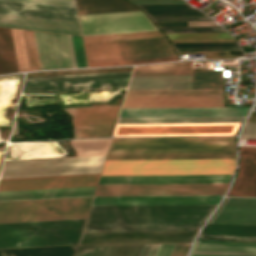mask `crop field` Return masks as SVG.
Segmentation results:
<instances>
[{
  "label": "crop field",
  "instance_id": "10",
  "mask_svg": "<svg viewBox=\"0 0 256 256\" xmlns=\"http://www.w3.org/2000/svg\"><path fill=\"white\" fill-rule=\"evenodd\" d=\"M239 123L117 125L113 136L235 135Z\"/></svg>",
  "mask_w": 256,
  "mask_h": 256
},
{
  "label": "crop field",
  "instance_id": "47",
  "mask_svg": "<svg viewBox=\"0 0 256 256\" xmlns=\"http://www.w3.org/2000/svg\"><path fill=\"white\" fill-rule=\"evenodd\" d=\"M171 43L236 42L235 39L170 40Z\"/></svg>",
  "mask_w": 256,
  "mask_h": 256
},
{
  "label": "crop field",
  "instance_id": "42",
  "mask_svg": "<svg viewBox=\"0 0 256 256\" xmlns=\"http://www.w3.org/2000/svg\"><path fill=\"white\" fill-rule=\"evenodd\" d=\"M221 27H184V28H160L164 33H189V32H221L214 31Z\"/></svg>",
  "mask_w": 256,
  "mask_h": 256
},
{
  "label": "crop field",
  "instance_id": "45",
  "mask_svg": "<svg viewBox=\"0 0 256 256\" xmlns=\"http://www.w3.org/2000/svg\"><path fill=\"white\" fill-rule=\"evenodd\" d=\"M240 139L256 140V123H246Z\"/></svg>",
  "mask_w": 256,
  "mask_h": 256
},
{
  "label": "crop field",
  "instance_id": "36",
  "mask_svg": "<svg viewBox=\"0 0 256 256\" xmlns=\"http://www.w3.org/2000/svg\"><path fill=\"white\" fill-rule=\"evenodd\" d=\"M222 88L221 72H192L191 89Z\"/></svg>",
  "mask_w": 256,
  "mask_h": 256
},
{
  "label": "crop field",
  "instance_id": "40",
  "mask_svg": "<svg viewBox=\"0 0 256 256\" xmlns=\"http://www.w3.org/2000/svg\"><path fill=\"white\" fill-rule=\"evenodd\" d=\"M7 1H16V2H25V3H34V4L75 8L74 0H7Z\"/></svg>",
  "mask_w": 256,
  "mask_h": 256
},
{
  "label": "crop field",
  "instance_id": "52",
  "mask_svg": "<svg viewBox=\"0 0 256 256\" xmlns=\"http://www.w3.org/2000/svg\"><path fill=\"white\" fill-rule=\"evenodd\" d=\"M176 51L240 50V48L175 49Z\"/></svg>",
  "mask_w": 256,
  "mask_h": 256
},
{
  "label": "crop field",
  "instance_id": "33",
  "mask_svg": "<svg viewBox=\"0 0 256 256\" xmlns=\"http://www.w3.org/2000/svg\"><path fill=\"white\" fill-rule=\"evenodd\" d=\"M148 16L204 15L188 5H138Z\"/></svg>",
  "mask_w": 256,
  "mask_h": 256
},
{
  "label": "crop field",
  "instance_id": "21",
  "mask_svg": "<svg viewBox=\"0 0 256 256\" xmlns=\"http://www.w3.org/2000/svg\"><path fill=\"white\" fill-rule=\"evenodd\" d=\"M240 168L229 196L256 197V148L239 147Z\"/></svg>",
  "mask_w": 256,
  "mask_h": 256
},
{
  "label": "crop field",
  "instance_id": "4",
  "mask_svg": "<svg viewBox=\"0 0 256 256\" xmlns=\"http://www.w3.org/2000/svg\"><path fill=\"white\" fill-rule=\"evenodd\" d=\"M235 159L106 161L101 175L233 174Z\"/></svg>",
  "mask_w": 256,
  "mask_h": 256
},
{
  "label": "crop field",
  "instance_id": "27",
  "mask_svg": "<svg viewBox=\"0 0 256 256\" xmlns=\"http://www.w3.org/2000/svg\"><path fill=\"white\" fill-rule=\"evenodd\" d=\"M76 3L79 15L138 10L124 0H76Z\"/></svg>",
  "mask_w": 256,
  "mask_h": 256
},
{
  "label": "crop field",
  "instance_id": "39",
  "mask_svg": "<svg viewBox=\"0 0 256 256\" xmlns=\"http://www.w3.org/2000/svg\"><path fill=\"white\" fill-rule=\"evenodd\" d=\"M172 60H177V58L176 57H169V58H157V59H144V60H132V61L94 63V64H88V67L115 66V65H127V64H135V63L160 62V61H172Z\"/></svg>",
  "mask_w": 256,
  "mask_h": 256
},
{
  "label": "crop field",
  "instance_id": "35",
  "mask_svg": "<svg viewBox=\"0 0 256 256\" xmlns=\"http://www.w3.org/2000/svg\"><path fill=\"white\" fill-rule=\"evenodd\" d=\"M165 37L159 31L83 37L84 43Z\"/></svg>",
  "mask_w": 256,
  "mask_h": 256
},
{
  "label": "crop field",
  "instance_id": "28",
  "mask_svg": "<svg viewBox=\"0 0 256 256\" xmlns=\"http://www.w3.org/2000/svg\"><path fill=\"white\" fill-rule=\"evenodd\" d=\"M244 117L119 118L117 124L241 122Z\"/></svg>",
  "mask_w": 256,
  "mask_h": 256
},
{
  "label": "crop field",
  "instance_id": "15",
  "mask_svg": "<svg viewBox=\"0 0 256 256\" xmlns=\"http://www.w3.org/2000/svg\"><path fill=\"white\" fill-rule=\"evenodd\" d=\"M222 195L94 197L91 206L218 204Z\"/></svg>",
  "mask_w": 256,
  "mask_h": 256
},
{
  "label": "crop field",
  "instance_id": "23",
  "mask_svg": "<svg viewBox=\"0 0 256 256\" xmlns=\"http://www.w3.org/2000/svg\"><path fill=\"white\" fill-rule=\"evenodd\" d=\"M95 187L6 191L0 192V202L92 196Z\"/></svg>",
  "mask_w": 256,
  "mask_h": 256
},
{
  "label": "crop field",
  "instance_id": "7",
  "mask_svg": "<svg viewBox=\"0 0 256 256\" xmlns=\"http://www.w3.org/2000/svg\"><path fill=\"white\" fill-rule=\"evenodd\" d=\"M218 106H223V89L128 91L122 108Z\"/></svg>",
  "mask_w": 256,
  "mask_h": 256
},
{
  "label": "crop field",
  "instance_id": "11",
  "mask_svg": "<svg viewBox=\"0 0 256 256\" xmlns=\"http://www.w3.org/2000/svg\"><path fill=\"white\" fill-rule=\"evenodd\" d=\"M83 36L157 30L141 11L79 16Z\"/></svg>",
  "mask_w": 256,
  "mask_h": 256
},
{
  "label": "crop field",
  "instance_id": "22",
  "mask_svg": "<svg viewBox=\"0 0 256 256\" xmlns=\"http://www.w3.org/2000/svg\"><path fill=\"white\" fill-rule=\"evenodd\" d=\"M0 26L80 35L74 22L0 15Z\"/></svg>",
  "mask_w": 256,
  "mask_h": 256
},
{
  "label": "crop field",
  "instance_id": "38",
  "mask_svg": "<svg viewBox=\"0 0 256 256\" xmlns=\"http://www.w3.org/2000/svg\"><path fill=\"white\" fill-rule=\"evenodd\" d=\"M32 70H40L33 32L25 31Z\"/></svg>",
  "mask_w": 256,
  "mask_h": 256
},
{
  "label": "crop field",
  "instance_id": "31",
  "mask_svg": "<svg viewBox=\"0 0 256 256\" xmlns=\"http://www.w3.org/2000/svg\"><path fill=\"white\" fill-rule=\"evenodd\" d=\"M17 72L9 29L0 28V75Z\"/></svg>",
  "mask_w": 256,
  "mask_h": 256
},
{
  "label": "crop field",
  "instance_id": "50",
  "mask_svg": "<svg viewBox=\"0 0 256 256\" xmlns=\"http://www.w3.org/2000/svg\"><path fill=\"white\" fill-rule=\"evenodd\" d=\"M190 244L176 245L171 256H185Z\"/></svg>",
  "mask_w": 256,
  "mask_h": 256
},
{
  "label": "crop field",
  "instance_id": "51",
  "mask_svg": "<svg viewBox=\"0 0 256 256\" xmlns=\"http://www.w3.org/2000/svg\"><path fill=\"white\" fill-rule=\"evenodd\" d=\"M175 245H161L156 256H170Z\"/></svg>",
  "mask_w": 256,
  "mask_h": 256
},
{
  "label": "crop field",
  "instance_id": "14",
  "mask_svg": "<svg viewBox=\"0 0 256 256\" xmlns=\"http://www.w3.org/2000/svg\"><path fill=\"white\" fill-rule=\"evenodd\" d=\"M119 106L120 105L66 109L72 117L74 138L111 135Z\"/></svg>",
  "mask_w": 256,
  "mask_h": 256
},
{
  "label": "crop field",
  "instance_id": "26",
  "mask_svg": "<svg viewBox=\"0 0 256 256\" xmlns=\"http://www.w3.org/2000/svg\"><path fill=\"white\" fill-rule=\"evenodd\" d=\"M235 158V153L108 154L106 160Z\"/></svg>",
  "mask_w": 256,
  "mask_h": 256
},
{
  "label": "crop field",
  "instance_id": "32",
  "mask_svg": "<svg viewBox=\"0 0 256 256\" xmlns=\"http://www.w3.org/2000/svg\"><path fill=\"white\" fill-rule=\"evenodd\" d=\"M110 138L72 140L77 148V157L105 155Z\"/></svg>",
  "mask_w": 256,
  "mask_h": 256
},
{
  "label": "crop field",
  "instance_id": "43",
  "mask_svg": "<svg viewBox=\"0 0 256 256\" xmlns=\"http://www.w3.org/2000/svg\"><path fill=\"white\" fill-rule=\"evenodd\" d=\"M199 239H201V240H218V241H250V242H256V237L200 235Z\"/></svg>",
  "mask_w": 256,
  "mask_h": 256
},
{
  "label": "crop field",
  "instance_id": "17",
  "mask_svg": "<svg viewBox=\"0 0 256 256\" xmlns=\"http://www.w3.org/2000/svg\"><path fill=\"white\" fill-rule=\"evenodd\" d=\"M233 175L101 176L98 184L230 183Z\"/></svg>",
  "mask_w": 256,
  "mask_h": 256
},
{
  "label": "crop field",
  "instance_id": "8",
  "mask_svg": "<svg viewBox=\"0 0 256 256\" xmlns=\"http://www.w3.org/2000/svg\"><path fill=\"white\" fill-rule=\"evenodd\" d=\"M87 62L174 55L166 38L84 44Z\"/></svg>",
  "mask_w": 256,
  "mask_h": 256
},
{
  "label": "crop field",
  "instance_id": "18",
  "mask_svg": "<svg viewBox=\"0 0 256 256\" xmlns=\"http://www.w3.org/2000/svg\"><path fill=\"white\" fill-rule=\"evenodd\" d=\"M249 107L122 109L119 117L245 116Z\"/></svg>",
  "mask_w": 256,
  "mask_h": 256
},
{
  "label": "crop field",
  "instance_id": "37",
  "mask_svg": "<svg viewBox=\"0 0 256 256\" xmlns=\"http://www.w3.org/2000/svg\"><path fill=\"white\" fill-rule=\"evenodd\" d=\"M228 33L166 34L170 39L233 38Z\"/></svg>",
  "mask_w": 256,
  "mask_h": 256
},
{
  "label": "crop field",
  "instance_id": "29",
  "mask_svg": "<svg viewBox=\"0 0 256 256\" xmlns=\"http://www.w3.org/2000/svg\"><path fill=\"white\" fill-rule=\"evenodd\" d=\"M143 245L80 246L75 256H138Z\"/></svg>",
  "mask_w": 256,
  "mask_h": 256
},
{
  "label": "crop field",
  "instance_id": "5",
  "mask_svg": "<svg viewBox=\"0 0 256 256\" xmlns=\"http://www.w3.org/2000/svg\"><path fill=\"white\" fill-rule=\"evenodd\" d=\"M235 152L234 137L113 138L108 153Z\"/></svg>",
  "mask_w": 256,
  "mask_h": 256
},
{
  "label": "crop field",
  "instance_id": "48",
  "mask_svg": "<svg viewBox=\"0 0 256 256\" xmlns=\"http://www.w3.org/2000/svg\"><path fill=\"white\" fill-rule=\"evenodd\" d=\"M135 4H186L182 0L131 1Z\"/></svg>",
  "mask_w": 256,
  "mask_h": 256
},
{
  "label": "crop field",
  "instance_id": "54",
  "mask_svg": "<svg viewBox=\"0 0 256 256\" xmlns=\"http://www.w3.org/2000/svg\"><path fill=\"white\" fill-rule=\"evenodd\" d=\"M247 122H256V116H249Z\"/></svg>",
  "mask_w": 256,
  "mask_h": 256
},
{
  "label": "crop field",
  "instance_id": "41",
  "mask_svg": "<svg viewBox=\"0 0 256 256\" xmlns=\"http://www.w3.org/2000/svg\"><path fill=\"white\" fill-rule=\"evenodd\" d=\"M78 68L86 67L82 39L71 36Z\"/></svg>",
  "mask_w": 256,
  "mask_h": 256
},
{
  "label": "crop field",
  "instance_id": "46",
  "mask_svg": "<svg viewBox=\"0 0 256 256\" xmlns=\"http://www.w3.org/2000/svg\"><path fill=\"white\" fill-rule=\"evenodd\" d=\"M199 17L205 16H177V17H150L153 21H183V20H199ZM207 19V18H200Z\"/></svg>",
  "mask_w": 256,
  "mask_h": 256
},
{
  "label": "crop field",
  "instance_id": "34",
  "mask_svg": "<svg viewBox=\"0 0 256 256\" xmlns=\"http://www.w3.org/2000/svg\"><path fill=\"white\" fill-rule=\"evenodd\" d=\"M201 234L256 236V226L206 224Z\"/></svg>",
  "mask_w": 256,
  "mask_h": 256
},
{
  "label": "crop field",
  "instance_id": "49",
  "mask_svg": "<svg viewBox=\"0 0 256 256\" xmlns=\"http://www.w3.org/2000/svg\"><path fill=\"white\" fill-rule=\"evenodd\" d=\"M160 245H145L140 256H155Z\"/></svg>",
  "mask_w": 256,
  "mask_h": 256
},
{
  "label": "crop field",
  "instance_id": "19",
  "mask_svg": "<svg viewBox=\"0 0 256 256\" xmlns=\"http://www.w3.org/2000/svg\"><path fill=\"white\" fill-rule=\"evenodd\" d=\"M208 223L256 225V199L225 198Z\"/></svg>",
  "mask_w": 256,
  "mask_h": 256
},
{
  "label": "crop field",
  "instance_id": "25",
  "mask_svg": "<svg viewBox=\"0 0 256 256\" xmlns=\"http://www.w3.org/2000/svg\"><path fill=\"white\" fill-rule=\"evenodd\" d=\"M190 89V76L132 77L128 90Z\"/></svg>",
  "mask_w": 256,
  "mask_h": 256
},
{
  "label": "crop field",
  "instance_id": "20",
  "mask_svg": "<svg viewBox=\"0 0 256 256\" xmlns=\"http://www.w3.org/2000/svg\"><path fill=\"white\" fill-rule=\"evenodd\" d=\"M0 14L78 22L75 9L0 1Z\"/></svg>",
  "mask_w": 256,
  "mask_h": 256
},
{
  "label": "crop field",
  "instance_id": "53",
  "mask_svg": "<svg viewBox=\"0 0 256 256\" xmlns=\"http://www.w3.org/2000/svg\"><path fill=\"white\" fill-rule=\"evenodd\" d=\"M68 43H69V49H70V54H71V60H72V66L73 68H77L76 66V61H75V57H74V52H73V47H72V43H71V38L70 36H68Z\"/></svg>",
  "mask_w": 256,
  "mask_h": 256
},
{
  "label": "crop field",
  "instance_id": "30",
  "mask_svg": "<svg viewBox=\"0 0 256 256\" xmlns=\"http://www.w3.org/2000/svg\"><path fill=\"white\" fill-rule=\"evenodd\" d=\"M192 62L146 65L134 68L132 76L190 75Z\"/></svg>",
  "mask_w": 256,
  "mask_h": 256
},
{
  "label": "crop field",
  "instance_id": "2",
  "mask_svg": "<svg viewBox=\"0 0 256 256\" xmlns=\"http://www.w3.org/2000/svg\"><path fill=\"white\" fill-rule=\"evenodd\" d=\"M104 157L4 162L0 179L99 173ZM98 175L0 180V191L95 186Z\"/></svg>",
  "mask_w": 256,
  "mask_h": 256
},
{
  "label": "crop field",
  "instance_id": "6",
  "mask_svg": "<svg viewBox=\"0 0 256 256\" xmlns=\"http://www.w3.org/2000/svg\"><path fill=\"white\" fill-rule=\"evenodd\" d=\"M92 197L0 203V223L85 218Z\"/></svg>",
  "mask_w": 256,
  "mask_h": 256
},
{
  "label": "crop field",
  "instance_id": "13",
  "mask_svg": "<svg viewBox=\"0 0 256 256\" xmlns=\"http://www.w3.org/2000/svg\"><path fill=\"white\" fill-rule=\"evenodd\" d=\"M196 231L83 232L80 244L191 243Z\"/></svg>",
  "mask_w": 256,
  "mask_h": 256
},
{
  "label": "crop field",
  "instance_id": "16",
  "mask_svg": "<svg viewBox=\"0 0 256 256\" xmlns=\"http://www.w3.org/2000/svg\"><path fill=\"white\" fill-rule=\"evenodd\" d=\"M34 34L41 70L72 68L66 35Z\"/></svg>",
  "mask_w": 256,
  "mask_h": 256
},
{
  "label": "crop field",
  "instance_id": "44",
  "mask_svg": "<svg viewBox=\"0 0 256 256\" xmlns=\"http://www.w3.org/2000/svg\"><path fill=\"white\" fill-rule=\"evenodd\" d=\"M174 48L238 47L236 43L172 44Z\"/></svg>",
  "mask_w": 256,
  "mask_h": 256
},
{
  "label": "crop field",
  "instance_id": "1",
  "mask_svg": "<svg viewBox=\"0 0 256 256\" xmlns=\"http://www.w3.org/2000/svg\"><path fill=\"white\" fill-rule=\"evenodd\" d=\"M215 206L91 207L83 231L198 230Z\"/></svg>",
  "mask_w": 256,
  "mask_h": 256
},
{
  "label": "crop field",
  "instance_id": "12",
  "mask_svg": "<svg viewBox=\"0 0 256 256\" xmlns=\"http://www.w3.org/2000/svg\"><path fill=\"white\" fill-rule=\"evenodd\" d=\"M229 184L98 185L94 196L224 194Z\"/></svg>",
  "mask_w": 256,
  "mask_h": 256
},
{
  "label": "crop field",
  "instance_id": "24",
  "mask_svg": "<svg viewBox=\"0 0 256 256\" xmlns=\"http://www.w3.org/2000/svg\"><path fill=\"white\" fill-rule=\"evenodd\" d=\"M189 256H256V244L196 241Z\"/></svg>",
  "mask_w": 256,
  "mask_h": 256
},
{
  "label": "crop field",
  "instance_id": "3",
  "mask_svg": "<svg viewBox=\"0 0 256 256\" xmlns=\"http://www.w3.org/2000/svg\"><path fill=\"white\" fill-rule=\"evenodd\" d=\"M84 220L0 224V248L77 244Z\"/></svg>",
  "mask_w": 256,
  "mask_h": 256
},
{
  "label": "crop field",
  "instance_id": "9",
  "mask_svg": "<svg viewBox=\"0 0 256 256\" xmlns=\"http://www.w3.org/2000/svg\"><path fill=\"white\" fill-rule=\"evenodd\" d=\"M130 73L26 78L22 92L126 87Z\"/></svg>",
  "mask_w": 256,
  "mask_h": 256
}]
</instances>
